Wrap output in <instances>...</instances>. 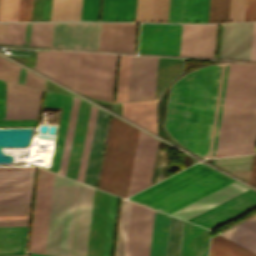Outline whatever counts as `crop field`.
I'll list each match as a JSON object with an SVG mask.
<instances>
[{"mask_svg":"<svg viewBox=\"0 0 256 256\" xmlns=\"http://www.w3.org/2000/svg\"><path fill=\"white\" fill-rule=\"evenodd\" d=\"M239 225H241V226H243V227H245V228H247V229L256 233V216L247 220V221H245V222H243V223H241V224H239Z\"/></svg>","mask_w":256,"mask_h":256,"instance_id":"obj_55","label":"crop field"},{"mask_svg":"<svg viewBox=\"0 0 256 256\" xmlns=\"http://www.w3.org/2000/svg\"><path fill=\"white\" fill-rule=\"evenodd\" d=\"M31 255H32V256H43V255H37V254H32V253H31Z\"/></svg>","mask_w":256,"mask_h":256,"instance_id":"obj_60","label":"crop field"},{"mask_svg":"<svg viewBox=\"0 0 256 256\" xmlns=\"http://www.w3.org/2000/svg\"><path fill=\"white\" fill-rule=\"evenodd\" d=\"M216 25H183L179 55L213 58Z\"/></svg>","mask_w":256,"mask_h":256,"instance_id":"obj_16","label":"crop field"},{"mask_svg":"<svg viewBox=\"0 0 256 256\" xmlns=\"http://www.w3.org/2000/svg\"><path fill=\"white\" fill-rule=\"evenodd\" d=\"M256 208V192L248 190L188 221L214 229Z\"/></svg>","mask_w":256,"mask_h":256,"instance_id":"obj_11","label":"crop field"},{"mask_svg":"<svg viewBox=\"0 0 256 256\" xmlns=\"http://www.w3.org/2000/svg\"><path fill=\"white\" fill-rule=\"evenodd\" d=\"M229 64L218 68L204 156L214 157Z\"/></svg>","mask_w":256,"mask_h":256,"instance_id":"obj_20","label":"crop field"},{"mask_svg":"<svg viewBox=\"0 0 256 256\" xmlns=\"http://www.w3.org/2000/svg\"><path fill=\"white\" fill-rule=\"evenodd\" d=\"M182 25L142 24L139 53L178 55Z\"/></svg>","mask_w":256,"mask_h":256,"instance_id":"obj_9","label":"crop field"},{"mask_svg":"<svg viewBox=\"0 0 256 256\" xmlns=\"http://www.w3.org/2000/svg\"><path fill=\"white\" fill-rule=\"evenodd\" d=\"M253 23L224 24L221 58L250 60Z\"/></svg>","mask_w":256,"mask_h":256,"instance_id":"obj_17","label":"crop field"},{"mask_svg":"<svg viewBox=\"0 0 256 256\" xmlns=\"http://www.w3.org/2000/svg\"><path fill=\"white\" fill-rule=\"evenodd\" d=\"M72 100L73 98L67 95L57 94V93L48 92V91H46L45 93L43 105L63 108V113H62V118H61L52 168H51L52 171H55L57 173L59 171Z\"/></svg>","mask_w":256,"mask_h":256,"instance_id":"obj_23","label":"crop field"},{"mask_svg":"<svg viewBox=\"0 0 256 256\" xmlns=\"http://www.w3.org/2000/svg\"><path fill=\"white\" fill-rule=\"evenodd\" d=\"M230 0H210L208 22H228Z\"/></svg>","mask_w":256,"mask_h":256,"instance_id":"obj_42","label":"crop field"},{"mask_svg":"<svg viewBox=\"0 0 256 256\" xmlns=\"http://www.w3.org/2000/svg\"><path fill=\"white\" fill-rule=\"evenodd\" d=\"M153 0H137L135 21H151ZM169 0H154L152 21L167 22Z\"/></svg>","mask_w":256,"mask_h":256,"instance_id":"obj_30","label":"crop field"},{"mask_svg":"<svg viewBox=\"0 0 256 256\" xmlns=\"http://www.w3.org/2000/svg\"><path fill=\"white\" fill-rule=\"evenodd\" d=\"M131 56L121 55L116 101H127Z\"/></svg>","mask_w":256,"mask_h":256,"instance_id":"obj_39","label":"crop field"},{"mask_svg":"<svg viewBox=\"0 0 256 256\" xmlns=\"http://www.w3.org/2000/svg\"><path fill=\"white\" fill-rule=\"evenodd\" d=\"M19 0H1L0 21H17Z\"/></svg>","mask_w":256,"mask_h":256,"instance_id":"obj_44","label":"crop field"},{"mask_svg":"<svg viewBox=\"0 0 256 256\" xmlns=\"http://www.w3.org/2000/svg\"><path fill=\"white\" fill-rule=\"evenodd\" d=\"M30 207L28 205H3L0 206L1 215H28Z\"/></svg>","mask_w":256,"mask_h":256,"instance_id":"obj_48","label":"crop field"},{"mask_svg":"<svg viewBox=\"0 0 256 256\" xmlns=\"http://www.w3.org/2000/svg\"><path fill=\"white\" fill-rule=\"evenodd\" d=\"M232 182L215 170L197 163L129 199L170 214Z\"/></svg>","mask_w":256,"mask_h":256,"instance_id":"obj_1","label":"crop field"},{"mask_svg":"<svg viewBox=\"0 0 256 256\" xmlns=\"http://www.w3.org/2000/svg\"><path fill=\"white\" fill-rule=\"evenodd\" d=\"M36 120H0V127L35 126Z\"/></svg>","mask_w":256,"mask_h":256,"instance_id":"obj_52","label":"crop field"},{"mask_svg":"<svg viewBox=\"0 0 256 256\" xmlns=\"http://www.w3.org/2000/svg\"><path fill=\"white\" fill-rule=\"evenodd\" d=\"M197 73L198 70L189 73L172 86L165 124L172 136L185 146L188 138Z\"/></svg>","mask_w":256,"mask_h":256,"instance_id":"obj_6","label":"crop field"},{"mask_svg":"<svg viewBox=\"0 0 256 256\" xmlns=\"http://www.w3.org/2000/svg\"><path fill=\"white\" fill-rule=\"evenodd\" d=\"M34 167H1L0 182L33 181ZM32 182L0 183L1 204H30Z\"/></svg>","mask_w":256,"mask_h":256,"instance_id":"obj_12","label":"crop field"},{"mask_svg":"<svg viewBox=\"0 0 256 256\" xmlns=\"http://www.w3.org/2000/svg\"><path fill=\"white\" fill-rule=\"evenodd\" d=\"M122 117L157 133L156 100L122 103Z\"/></svg>","mask_w":256,"mask_h":256,"instance_id":"obj_27","label":"crop field"},{"mask_svg":"<svg viewBox=\"0 0 256 256\" xmlns=\"http://www.w3.org/2000/svg\"><path fill=\"white\" fill-rule=\"evenodd\" d=\"M42 90L7 82L6 119L36 118Z\"/></svg>","mask_w":256,"mask_h":256,"instance_id":"obj_15","label":"crop field"},{"mask_svg":"<svg viewBox=\"0 0 256 256\" xmlns=\"http://www.w3.org/2000/svg\"><path fill=\"white\" fill-rule=\"evenodd\" d=\"M79 102H80L79 99L74 98L71 115H70V120H69V125H68V130H67L64 151H63V156H62V161H61V166H60V171H59V173L64 176L66 174L69 153H70L75 123H76V117H77V112H78V107H79Z\"/></svg>","mask_w":256,"mask_h":256,"instance_id":"obj_37","label":"crop field"},{"mask_svg":"<svg viewBox=\"0 0 256 256\" xmlns=\"http://www.w3.org/2000/svg\"><path fill=\"white\" fill-rule=\"evenodd\" d=\"M217 65L199 70L187 148L203 156Z\"/></svg>","mask_w":256,"mask_h":256,"instance_id":"obj_5","label":"crop field"},{"mask_svg":"<svg viewBox=\"0 0 256 256\" xmlns=\"http://www.w3.org/2000/svg\"><path fill=\"white\" fill-rule=\"evenodd\" d=\"M32 0H20L18 21H30Z\"/></svg>","mask_w":256,"mask_h":256,"instance_id":"obj_49","label":"crop field"},{"mask_svg":"<svg viewBox=\"0 0 256 256\" xmlns=\"http://www.w3.org/2000/svg\"><path fill=\"white\" fill-rule=\"evenodd\" d=\"M100 0H83L81 20H98Z\"/></svg>","mask_w":256,"mask_h":256,"instance_id":"obj_46","label":"crop field"},{"mask_svg":"<svg viewBox=\"0 0 256 256\" xmlns=\"http://www.w3.org/2000/svg\"><path fill=\"white\" fill-rule=\"evenodd\" d=\"M158 58L132 56L128 101L154 99Z\"/></svg>","mask_w":256,"mask_h":256,"instance_id":"obj_13","label":"crop field"},{"mask_svg":"<svg viewBox=\"0 0 256 256\" xmlns=\"http://www.w3.org/2000/svg\"><path fill=\"white\" fill-rule=\"evenodd\" d=\"M136 0H103L101 20L134 21Z\"/></svg>","mask_w":256,"mask_h":256,"instance_id":"obj_29","label":"crop field"},{"mask_svg":"<svg viewBox=\"0 0 256 256\" xmlns=\"http://www.w3.org/2000/svg\"><path fill=\"white\" fill-rule=\"evenodd\" d=\"M139 130L112 117L99 189L126 197Z\"/></svg>","mask_w":256,"mask_h":256,"instance_id":"obj_3","label":"crop field"},{"mask_svg":"<svg viewBox=\"0 0 256 256\" xmlns=\"http://www.w3.org/2000/svg\"><path fill=\"white\" fill-rule=\"evenodd\" d=\"M154 211L132 202L125 256H149Z\"/></svg>","mask_w":256,"mask_h":256,"instance_id":"obj_10","label":"crop field"},{"mask_svg":"<svg viewBox=\"0 0 256 256\" xmlns=\"http://www.w3.org/2000/svg\"><path fill=\"white\" fill-rule=\"evenodd\" d=\"M6 82L0 81V119H5Z\"/></svg>","mask_w":256,"mask_h":256,"instance_id":"obj_53","label":"crop field"},{"mask_svg":"<svg viewBox=\"0 0 256 256\" xmlns=\"http://www.w3.org/2000/svg\"><path fill=\"white\" fill-rule=\"evenodd\" d=\"M108 198V193L95 189L87 256H102Z\"/></svg>","mask_w":256,"mask_h":256,"instance_id":"obj_19","label":"crop field"},{"mask_svg":"<svg viewBox=\"0 0 256 256\" xmlns=\"http://www.w3.org/2000/svg\"><path fill=\"white\" fill-rule=\"evenodd\" d=\"M90 107V104L84 101L80 102L77 123L66 174L67 177L75 180L77 178Z\"/></svg>","mask_w":256,"mask_h":256,"instance_id":"obj_25","label":"crop field"},{"mask_svg":"<svg viewBox=\"0 0 256 256\" xmlns=\"http://www.w3.org/2000/svg\"><path fill=\"white\" fill-rule=\"evenodd\" d=\"M7 23H0V42L5 43Z\"/></svg>","mask_w":256,"mask_h":256,"instance_id":"obj_58","label":"crop field"},{"mask_svg":"<svg viewBox=\"0 0 256 256\" xmlns=\"http://www.w3.org/2000/svg\"><path fill=\"white\" fill-rule=\"evenodd\" d=\"M245 0H231L229 22L243 21Z\"/></svg>","mask_w":256,"mask_h":256,"instance_id":"obj_47","label":"crop field"},{"mask_svg":"<svg viewBox=\"0 0 256 256\" xmlns=\"http://www.w3.org/2000/svg\"><path fill=\"white\" fill-rule=\"evenodd\" d=\"M250 184L256 186V155L253 158V165H252V174Z\"/></svg>","mask_w":256,"mask_h":256,"instance_id":"obj_57","label":"crop field"},{"mask_svg":"<svg viewBox=\"0 0 256 256\" xmlns=\"http://www.w3.org/2000/svg\"><path fill=\"white\" fill-rule=\"evenodd\" d=\"M251 60H256V23H254V29H253V42H252Z\"/></svg>","mask_w":256,"mask_h":256,"instance_id":"obj_56","label":"crop field"},{"mask_svg":"<svg viewBox=\"0 0 256 256\" xmlns=\"http://www.w3.org/2000/svg\"><path fill=\"white\" fill-rule=\"evenodd\" d=\"M221 236L256 254L255 233L238 225Z\"/></svg>","mask_w":256,"mask_h":256,"instance_id":"obj_34","label":"crop field"},{"mask_svg":"<svg viewBox=\"0 0 256 256\" xmlns=\"http://www.w3.org/2000/svg\"><path fill=\"white\" fill-rule=\"evenodd\" d=\"M170 216L155 211L150 256H166Z\"/></svg>","mask_w":256,"mask_h":256,"instance_id":"obj_31","label":"crop field"},{"mask_svg":"<svg viewBox=\"0 0 256 256\" xmlns=\"http://www.w3.org/2000/svg\"><path fill=\"white\" fill-rule=\"evenodd\" d=\"M1 219H28V216H1Z\"/></svg>","mask_w":256,"mask_h":256,"instance_id":"obj_59","label":"crop field"},{"mask_svg":"<svg viewBox=\"0 0 256 256\" xmlns=\"http://www.w3.org/2000/svg\"><path fill=\"white\" fill-rule=\"evenodd\" d=\"M28 220H1L0 226H27Z\"/></svg>","mask_w":256,"mask_h":256,"instance_id":"obj_54","label":"crop field"},{"mask_svg":"<svg viewBox=\"0 0 256 256\" xmlns=\"http://www.w3.org/2000/svg\"><path fill=\"white\" fill-rule=\"evenodd\" d=\"M209 256H256L236 244L218 236L211 240Z\"/></svg>","mask_w":256,"mask_h":256,"instance_id":"obj_33","label":"crop field"},{"mask_svg":"<svg viewBox=\"0 0 256 256\" xmlns=\"http://www.w3.org/2000/svg\"><path fill=\"white\" fill-rule=\"evenodd\" d=\"M53 177L39 168L29 251L44 253Z\"/></svg>","mask_w":256,"mask_h":256,"instance_id":"obj_7","label":"crop field"},{"mask_svg":"<svg viewBox=\"0 0 256 256\" xmlns=\"http://www.w3.org/2000/svg\"><path fill=\"white\" fill-rule=\"evenodd\" d=\"M94 189L79 183L70 256H86Z\"/></svg>","mask_w":256,"mask_h":256,"instance_id":"obj_14","label":"crop field"},{"mask_svg":"<svg viewBox=\"0 0 256 256\" xmlns=\"http://www.w3.org/2000/svg\"><path fill=\"white\" fill-rule=\"evenodd\" d=\"M53 23H32L30 46L51 47Z\"/></svg>","mask_w":256,"mask_h":256,"instance_id":"obj_38","label":"crop field"},{"mask_svg":"<svg viewBox=\"0 0 256 256\" xmlns=\"http://www.w3.org/2000/svg\"><path fill=\"white\" fill-rule=\"evenodd\" d=\"M256 20V0H246L244 21Z\"/></svg>","mask_w":256,"mask_h":256,"instance_id":"obj_51","label":"crop field"},{"mask_svg":"<svg viewBox=\"0 0 256 256\" xmlns=\"http://www.w3.org/2000/svg\"><path fill=\"white\" fill-rule=\"evenodd\" d=\"M250 159H251V156L223 158V159H217L216 164L225 165V164L247 163V162H250ZM248 167H249V164H240V165L224 166L223 168H225L229 171H239V170H248ZM250 173H251V171H245V172H233L231 174L249 182Z\"/></svg>","mask_w":256,"mask_h":256,"instance_id":"obj_41","label":"crop field"},{"mask_svg":"<svg viewBox=\"0 0 256 256\" xmlns=\"http://www.w3.org/2000/svg\"><path fill=\"white\" fill-rule=\"evenodd\" d=\"M52 0H33L31 21H50Z\"/></svg>","mask_w":256,"mask_h":256,"instance_id":"obj_43","label":"crop field"},{"mask_svg":"<svg viewBox=\"0 0 256 256\" xmlns=\"http://www.w3.org/2000/svg\"><path fill=\"white\" fill-rule=\"evenodd\" d=\"M210 232L184 221L180 256H206Z\"/></svg>","mask_w":256,"mask_h":256,"instance_id":"obj_26","label":"crop field"},{"mask_svg":"<svg viewBox=\"0 0 256 256\" xmlns=\"http://www.w3.org/2000/svg\"><path fill=\"white\" fill-rule=\"evenodd\" d=\"M110 115L97 111L84 182L95 187Z\"/></svg>","mask_w":256,"mask_h":256,"instance_id":"obj_21","label":"crop field"},{"mask_svg":"<svg viewBox=\"0 0 256 256\" xmlns=\"http://www.w3.org/2000/svg\"><path fill=\"white\" fill-rule=\"evenodd\" d=\"M118 197L109 198L103 256H111Z\"/></svg>","mask_w":256,"mask_h":256,"instance_id":"obj_36","label":"crop field"},{"mask_svg":"<svg viewBox=\"0 0 256 256\" xmlns=\"http://www.w3.org/2000/svg\"><path fill=\"white\" fill-rule=\"evenodd\" d=\"M82 0H53L51 21L80 20Z\"/></svg>","mask_w":256,"mask_h":256,"instance_id":"obj_32","label":"crop field"},{"mask_svg":"<svg viewBox=\"0 0 256 256\" xmlns=\"http://www.w3.org/2000/svg\"><path fill=\"white\" fill-rule=\"evenodd\" d=\"M101 23H54L52 47L99 50Z\"/></svg>","mask_w":256,"mask_h":256,"instance_id":"obj_8","label":"crop field"},{"mask_svg":"<svg viewBox=\"0 0 256 256\" xmlns=\"http://www.w3.org/2000/svg\"><path fill=\"white\" fill-rule=\"evenodd\" d=\"M78 183L55 174L45 253L69 256Z\"/></svg>","mask_w":256,"mask_h":256,"instance_id":"obj_4","label":"crop field"},{"mask_svg":"<svg viewBox=\"0 0 256 256\" xmlns=\"http://www.w3.org/2000/svg\"><path fill=\"white\" fill-rule=\"evenodd\" d=\"M247 189L249 188L235 182L171 215L187 220Z\"/></svg>","mask_w":256,"mask_h":256,"instance_id":"obj_24","label":"crop field"},{"mask_svg":"<svg viewBox=\"0 0 256 256\" xmlns=\"http://www.w3.org/2000/svg\"><path fill=\"white\" fill-rule=\"evenodd\" d=\"M27 227L0 228V256L26 255L24 251Z\"/></svg>","mask_w":256,"mask_h":256,"instance_id":"obj_28","label":"crop field"},{"mask_svg":"<svg viewBox=\"0 0 256 256\" xmlns=\"http://www.w3.org/2000/svg\"><path fill=\"white\" fill-rule=\"evenodd\" d=\"M131 202L122 199L117 246L115 256H124Z\"/></svg>","mask_w":256,"mask_h":256,"instance_id":"obj_35","label":"crop field"},{"mask_svg":"<svg viewBox=\"0 0 256 256\" xmlns=\"http://www.w3.org/2000/svg\"><path fill=\"white\" fill-rule=\"evenodd\" d=\"M136 23H102L100 50L133 52Z\"/></svg>","mask_w":256,"mask_h":256,"instance_id":"obj_18","label":"crop field"},{"mask_svg":"<svg viewBox=\"0 0 256 256\" xmlns=\"http://www.w3.org/2000/svg\"><path fill=\"white\" fill-rule=\"evenodd\" d=\"M255 149H256V87H255V93H254V100H253L245 154L255 153Z\"/></svg>","mask_w":256,"mask_h":256,"instance_id":"obj_45","label":"crop field"},{"mask_svg":"<svg viewBox=\"0 0 256 256\" xmlns=\"http://www.w3.org/2000/svg\"><path fill=\"white\" fill-rule=\"evenodd\" d=\"M14 63L0 56V78L9 80L13 70Z\"/></svg>","mask_w":256,"mask_h":256,"instance_id":"obj_50","label":"crop field"},{"mask_svg":"<svg viewBox=\"0 0 256 256\" xmlns=\"http://www.w3.org/2000/svg\"><path fill=\"white\" fill-rule=\"evenodd\" d=\"M209 0H170L168 22H207Z\"/></svg>","mask_w":256,"mask_h":256,"instance_id":"obj_22","label":"crop field"},{"mask_svg":"<svg viewBox=\"0 0 256 256\" xmlns=\"http://www.w3.org/2000/svg\"><path fill=\"white\" fill-rule=\"evenodd\" d=\"M183 221L171 216L167 256H179Z\"/></svg>","mask_w":256,"mask_h":256,"instance_id":"obj_40","label":"crop field"},{"mask_svg":"<svg viewBox=\"0 0 256 256\" xmlns=\"http://www.w3.org/2000/svg\"><path fill=\"white\" fill-rule=\"evenodd\" d=\"M256 65L230 64L222 115L230 116L224 154H244ZM228 118L223 117L217 154H222Z\"/></svg>","mask_w":256,"mask_h":256,"instance_id":"obj_2","label":"crop field"}]
</instances>
